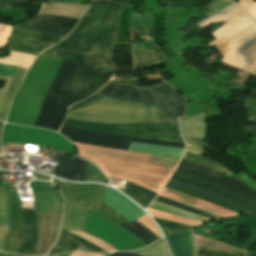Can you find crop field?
<instances>
[{
	"label": "crop field",
	"mask_w": 256,
	"mask_h": 256,
	"mask_svg": "<svg viewBox=\"0 0 256 256\" xmlns=\"http://www.w3.org/2000/svg\"><path fill=\"white\" fill-rule=\"evenodd\" d=\"M204 113H197L193 116L180 118L181 134L204 138L205 125L203 123Z\"/></svg>",
	"instance_id": "19"
},
{
	"label": "crop field",
	"mask_w": 256,
	"mask_h": 256,
	"mask_svg": "<svg viewBox=\"0 0 256 256\" xmlns=\"http://www.w3.org/2000/svg\"><path fill=\"white\" fill-rule=\"evenodd\" d=\"M121 7L128 2L94 0L74 31L42 54L79 60L76 74L60 102L69 106L101 88L119 67L112 63Z\"/></svg>",
	"instance_id": "1"
},
{
	"label": "crop field",
	"mask_w": 256,
	"mask_h": 256,
	"mask_svg": "<svg viewBox=\"0 0 256 256\" xmlns=\"http://www.w3.org/2000/svg\"><path fill=\"white\" fill-rule=\"evenodd\" d=\"M132 253L144 255V256H169L163 239L153 243L152 245L135 251H129Z\"/></svg>",
	"instance_id": "26"
},
{
	"label": "crop field",
	"mask_w": 256,
	"mask_h": 256,
	"mask_svg": "<svg viewBox=\"0 0 256 256\" xmlns=\"http://www.w3.org/2000/svg\"><path fill=\"white\" fill-rule=\"evenodd\" d=\"M59 132L62 133L66 138L74 142L113 147V148H119V149H125V150L128 149L131 141L184 148L183 143H171V142H163L158 140L142 139V138H135V137L119 136V135H106V134H100V133L80 131V130H76V129H72L64 126H62Z\"/></svg>",
	"instance_id": "9"
},
{
	"label": "crop field",
	"mask_w": 256,
	"mask_h": 256,
	"mask_svg": "<svg viewBox=\"0 0 256 256\" xmlns=\"http://www.w3.org/2000/svg\"><path fill=\"white\" fill-rule=\"evenodd\" d=\"M247 255H248V256H256V253L247 251Z\"/></svg>",
	"instance_id": "47"
},
{
	"label": "crop field",
	"mask_w": 256,
	"mask_h": 256,
	"mask_svg": "<svg viewBox=\"0 0 256 256\" xmlns=\"http://www.w3.org/2000/svg\"><path fill=\"white\" fill-rule=\"evenodd\" d=\"M197 256H246L245 250L238 249L235 251H224L216 249H196Z\"/></svg>",
	"instance_id": "29"
},
{
	"label": "crop field",
	"mask_w": 256,
	"mask_h": 256,
	"mask_svg": "<svg viewBox=\"0 0 256 256\" xmlns=\"http://www.w3.org/2000/svg\"><path fill=\"white\" fill-rule=\"evenodd\" d=\"M157 198H160V199L166 200V199L161 198V197H159V196H157ZM166 201H169V200H166ZM169 202L174 203V204H177V205L182 206V207H185V208L190 209V210H194V211H197V212H200V213H204V212H201V211H199V210H196V209L190 208V207H188V206H185V205H182V204H179V203H176V202H172V201H169ZM204 214H207V213H204ZM207 215H209V214H207ZM210 216H212V215H210ZM213 217H215V216H213ZM215 218H217V217H215ZM218 219H220V218H218Z\"/></svg>",
	"instance_id": "43"
},
{
	"label": "crop field",
	"mask_w": 256,
	"mask_h": 256,
	"mask_svg": "<svg viewBox=\"0 0 256 256\" xmlns=\"http://www.w3.org/2000/svg\"><path fill=\"white\" fill-rule=\"evenodd\" d=\"M71 232H73V233H75V234H77V235H79V236H81V237H83V238L89 240L90 242H92V243L98 245L99 247H101V248H103V249H105V250H107V251H116L115 249H113V248H112L109 244H107L106 242H104V241H102V240H100V239H97V238H95V237H92V236L86 234L85 232H81V231H71Z\"/></svg>",
	"instance_id": "32"
},
{
	"label": "crop field",
	"mask_w": 256,
	"mask_h": 256,
	"mask_svg": "<svg viewBox=\"0 0 256 256\" xmlns=\"http://www.w3.org/2000/svg\"><path fill=\"white\" fill-rule=\"evenodd\" d=\"M107 206L115 210L117 213L125 217L127 220H134L146 213L136 207L131 201L119 192L109 188L104 189V200Z\"/></svg>",
	"instance_id": "12"
},
{
	"label": "crop field",
	"mask_w": 256,
	"mask_h": 256,
	"mask_svg": "<svg viewBox=\"0 0 256 256\" xmlns=\"http://www.w3.org/2000/svg\"><path fill=\"white\" fill-rule=\"evenodd\" d=\"M155 221L158 223V225L173 228V229H177V230H181V231L194 228V227H191V226H188V225L169 222V221H164V220H159V219H155Z\"/></svg>",
	"instance_id": "33"
},
{
	"label": "crop field",
	"mask_w": 256,
	"mask_h": 256,
	"mask_svg": "<svg viewBox=\"0 0 256 256\" xmlns=\"http://www.w3.org/2000/svg\"><path fill=\"white\" fill-rule=\"evenodd\" d=\"M1 126H2V124H0V130H1Z\"/></svg>",
	"instance_id": "49"
},
{
	"label": "crop field",
	"mask_w": 256,
	"mask_h": 256,
	"mask_svg": "<svg viewBox=\"0 0 256 256\" xmlns=\"http://www.w3.org/2000/svg\"><path fill=\"white\" fill-rule=\"evenodd\" d=\"M87 162L82 159L69 158L64 160L57 173L66 179L84 181Z\"/></svg>",
	"instance_id": "17"
},
{
	"label": "crop field",
	"mask_w": 256,
	"mask_h": 256,
	"mask_svg": "<svg viewBox=\"0 0 256 256\" xmlns=\"http://www.w3.org/2000/svg\"><path fill=\"white\" fill-rule=\"evenodd\" d=\"M166 187H169V188H172V189L181 191V192H183V193H186V194L195 196V197H197V198H200V199L209 201V202H211V203L217 204V205L222 206V207H224V208H227V209H229V210L235 211V212H237V213H239V214H241V213H243V214H250V213H247V212H245V211H242V210H240V209H238V208H235V207H233V206H230V205H228V204H226V203H223V202H221V201H219V200H216V199H214V198H212V197H210V196H207V195H204V194H200V193L191 191V190H189V189L183 188V187H181V186H178V185H175V184H172V183H169V182H167Z\"/></svg>",
	"instance_id": "22"
},
{
	"label": "crop field",
	"mask_w": 256,
	"mask_h": 256,
	"mask_svg": "<svg viewBox=\"0 0 256 256\" xmlns=\"http://www.w3.org/2000/svg\"><path fill=\"white\" fill-rule=\"evenodd\" d=\"M183 160L202 164L206 167H209L211 169H214V170L220 172L221 174H223L226 177L229 176L230 174H232L228 170H226L222 165L215 163L209 159L203 158L201 156L195 155V154L186 152L183 157Z\"/></svg>",
	"instance_id": "24"
},
{
	"label": "crop field",
	"mask_w": 256,
	"mask_h": 256,
	"mask_svg": "<svg viewBox=\"0 0 256 256\" xmlns=\"http://www.w3.org/2000/svg\"><path fill=\"white\" fill-rule=\"evenodd\" d=\"M86 181H100L105 182L106 177L97 170L93 165L88 163L86 170Z\"/></svg>",
	"instance_id": "31"
},
{
	"label": "crop field",
	"mask_w": 256,
	"mask_h": 256,
	"mask_svg": "<svg viewBox=\"0 0 256 256\" xmlns=\"http://www.w3.org/2000/svg\"><path fill=\"white\" fill-rule=\"evenodd\" d=\"M29 187L53 188L50 182L32 181Z\"/></svg>",
	"instance_id": "39"
},
{
	"label": "crop field",
	"mask_w": 256,
	"mask_h": 256,
	"mask_svg": "<svg viewBox=\"0 0 256 256\" xmlns=\"http://www.w3.org/2000/svg\"><path fill=\"white\" fill-rule=\"evenodd\" d=\"M72 256H101V255H99V254H84V253L75 252Z\"/></svg>",
	"instance_id": "44"
},
{
	"label": "crop field",
	"mask_w": 256,
	"mask_h": 256,
	"mask_svg": "<svg viewBox=\"0 0 256 256\" xmlns=\"http://www.w3.org/2000/svg\"><path fill=\"white\" fill-rule=\"evenodd\" d=\"M99 94L144 102H155L166 119L186 115L187 99L167 82L148 88H136L131 85L109 82Z\"/></svg>",
	"instance_id": "4"
},
{
	"label": "crop field",
	"mask_w": 256,
	"mask_h": 256,
	"mask_svg": "<svg viewBox=\"0 0 256 256\" xmlns=\"http://www.w3.org/2000/svg\"><path fill=\"white\" fill-rule=\"evenodd\" d=\"M120 226L133 232L142 241H144L147 245L150 244L152 241L158 239L157 236H155L152 232H150L148 229H146L144 226H142L141 224H139L136 221L129 222V223H126V224H123Z\"/></svg>",
	"instance_id": "23"
},
{
	"label": "crop field",
	"mask_w": 256,
	"mask_h": 256,
	"mask_svg": "<svg viewBox=\"0 0 256 256\" xmlns=\"http://www.w3.org/2000/svg\"><path fill=\"white\" fill-rule=\"evenodd\" d=\"M11 26L0 24V47L6 45ZM34 55L10 51L8 58L0 59V63L22 66L28 68L32 63Z\"/></svg>",
	"instance_id": "16"
},
{
	"label": "crop field",
	"mask_w": 256,
	"mask_h": 256,
	"mask_svg": "<svg viewBox=\"0 0 256 256\" xmlns=\"http://www.w3.org/2000/svg\"><path fill=\"white\" fill-rule=\"evenodd\" d=\"M120 188L122 192L131 197L135 202H137L144 209L150 203V201L154 198L156 193L149 192L133 183H129L126 181L118 180ZM152 202V201H151Z\"/></svg>",
	"instance_id": "20"
},
{
	"label": "crop field",
	"mask_w": 256,
	"mask_h": 256,
	"mask_svg": "<svg viewBox=\"0 0 256 256\" xmlns=\"http://www.w3.org/2000/svg\"><path fill=\"white\" fill-rule=\"evenodd\" d=\"M109 256H140V255H136L128 252H114V253H111Z\"/></svg>",
	"instance_id": "42"
},
{
	"label": "crop field",
	"mask_w": 256,
	"mask_h": 256,
	"mask_svg": "<svg viewBox=\"0 0 256 256\" xmlns=\"http://www.w3.org/2000/svg\"><path fill=\"white\" fill-rule=\"evenodd\" d=\"M171 179L183 181V182L201 187L203 189L209 190L211 192H214L218 195L226 197L230 200H233L237 203H240V204L256 211V204H254V203L236 195L235 193H233V192H231V191H229V190H227V189H225L221 186L213 184V183H211L209 181H206L204 179H201L199 177H196V176H193V175L175 170V172L171 176Z\"/></svg>",
	"instance_id": "11"
},
{
	"label": "crop field",
	"mask_w": 256,
	"mask_h": 256,
	"mask_svg": "<svg viewBox=\"0 0 256 256\" xmlns=\"http://www.w3.org/2000/svg\"><path fill=\"white\" fill-rule=\"evenodd\" d=\"M45 49L46 47L29 45V44L20 43L12 40H10L9 42V50L19 51V52H24V53L34 54V55L39 54Z\"/></svg>",
	"instance_id": "28"
},
{
	"label": "crop field",
	"mask_w": 256,
	"mask_h": 256,
	"mask_svg": "<svg viewBox=\"0 0 256 256\" xmlns=\"http://www.w3.org/2000/svg\"><path fill=\"white\" fill-rule=\"evenodd\" d=\"M177 169L195 174V175L202 177L206 180L217 183V184L235 192L236 194L256 203V192L232 177L226 178V177L222 176L221 174H219L209 168H206V167L198 165V164L189 163V162H186L183 160H181Z\"/></svg>",
	"instance_id": "10"
},
{
	"label": "crop field",
	"mask_w": 256,
	"mask_h": 256,
	"mask_svg": "<svg viewBox=\"0 0 256 256\" xmlns=\"http://www.w3.org/2000/svg\"><path fill=\"white\" fill-rule=\"evenodd\" d=\"M64 125L106 134H119L171 142H183L178 130V124H93L66 119Z\"/></svg>",
	"instance_id": "7"
},
{
	"label": "crop field",
	"mask_w": 256,
	"mask_h": 256,
	"mask_svg": "<svg viewBox=\"0 0 256 256\" xmlns=\"http://www.w3.org/2000/svg\"><path fill=\"white\" fill-rule=\"evenodd\" d=\"M184 139V142L186 144L187 147V151L193 152V153H197V154H203L204 151L203 149H201L200 147H198L196 144H194L192 141H190L188 138H186L185 136H182Z\"/></svg>",
	"instance_id": "35"
},
{
	"label": "crop field",
	"mask_w": 256,
	"mask_h": 256,
	"mask_svg": "<svg viewBox=\"0 0 256 256\" xmlns=\"http://www.w3.org/2000/svg\"><path fill=\"white\" fill-rule=\"evenodd\" d=\"M90 0H48V2L75 3L88 5Z\"/></svg>",
	"instance_id": "38"
},
{
	"label": "crop field",
	"mask_w": 256,
	"mask_h": 256,
	"mask_svg": "<svg viewBox=\"0 0 256 256\" xmlns=\"http://www.w3.org/2000/svg\"><path fill=\"white\" fill-rule=\"evenodd\" d=\"M100 96H101V95L95 94V95H93V96H91V97H89V98H87V99H85V100H83V101H81V102H79V103H77V104L71 106L70 108H73V107L82 105V104L87 103V102H89V101H91V100H93V99H96V98L100 97Z\"/></svg>",
	"instance_id": "41"
},
{
	"label": "crop field",
	"mask_w": 256,
	"mask_h": 256,
	"mask_svg": "<svg viewBox=\"0 0 256 256\" xmlns=\"http://www.w3.org/2000/svg\"><path fill=\"white\" fill-rule=\"evenodd\" d=\"M169 182H172V183L181 185V186H183V187L189 188V189H191V190H194V191H197V192H200V193H204V194L210 195V196H212V197H215V198H217V199H219V200H222V201H224V202H227V203H229V204H231V205H233V206H236V207H238V208H240V209H242V210L248 211V212L253 213V214L256 215L255 212H253V211H251V210H249V209H247V208H245V207H243V206H241V205H239V204H237V203H235V202H233V201H230V200L225 199V198H223V197H221V196H218V195H216V194H214V193H211V192H209V191L203 190V189H201V188H198V187H195V186H192V185L183 183V182L171 180V179H169Z\"/></svg>",
	"instance_id": "27"
},
{
	"label": "crop field",
	"mask_w": 256,
	"mask_h": 256,
	"mask_svg": "<svg viewBox=\"0 0 256 256\" xmlns=\"http://www.w3.org/2000/svg\"><path fill=\"white\" fill-rule=\"evenodd\" d=\"M231 0H212L207 6H205L200 11H203L207 14V16L225 8L226 6L232 4ZM198 11V12H200Z\"/></svg>",
	"instance_id": "30"
},
{
	"label": "crop field",
	"mask_w": 256,
	"mask_h": 256,
	"mask_svg": "<svg viewBox=\"0 0 256 256\" xmlns=\"http://www.w3.org/2000/svg\"><path fill=\"white\" fill-rule=\"evenodd\" d=\"M0 256H21V255H14V254L0 253ZM56 256H57V255H56Z\"/></svg>",
	"instance_id": "45"
},
{
	"label": "crop field",
	"mask_w": 256,
	"mask_h": 256,
	"mask_svg": "<svg viewBox=\"0 0 256 256\" xmlns=\"http://www.w3.org/2000/svg\"><path fill=\"white\" fill-rule=\"evenodd\" d=\"M76 62L63 60L55 80L44 100L42 111L36 120L34 127H43L58 131L62 125L67 108L57 102L60 94L64 90L73 67Z\"/></svg>",
	"instance_id": "8"
},
{
	"label": "crop field",
	"mask_w": 256,
	"mask_h": 256,
	"mask_svg": "<svg viewBox=\"0 0 256 256\" xmlns=\"http://www.w3.org/2000/svg\"><path fill=\"white\" fill-rule=\"evenodd\" d=\"M86 217L87 207L66 196L62 228L84 231V222Z\"/></svg>",
	"instance_id": "13"
},
{
	"label": "crop field",
	"mask_w": 256,
	"mask_h": 256,
	"mask_svg": "<svg viewBox=\"0 0 256 256\" xmlns=\"http://www.w3.org/2000/svg\"><path fill=\"white\" fill-rule=\"evenodd\" d=\"M192 253L196 256L193 229L190 230ZM173 256H192L189 230L166 237Z\"/></svg>",
	"instance_id": "15"
},
{
	"label": "crop field",
	"mask_w": 256,
	"mask_h": 256,
	"mask_svg": "<svg viewBox=\"0 0 256 256\" xmlns=\"http://www.w3.org/2000/svg\"><path fill=\"white\" fill-rule=\"evenodd\" d=\"M67 118L93 123H178L177 119L166 121L155 103H139L110 97L70 112Z\"/></svg>",
	"instance_id": "3"
},
{
	"label": "crop field",
	"mask_w": 256,
	"mask_h": 256,
	"mask_svg": "<svg viewBox=\"0 0 256 256\" xmlns=\"http://www.w3.org/2000/svg\"><path fill=\"white\" fill-rule=\"evenodd\" d=\"M256 118V110L253 112V114L250 116L249 120H254Z\"/></svg>",
	"instance_id": "46"
},
{
	"label": "crop field",
	"mask_w": 256,
	"mask_h": 256,
	"mask_svg": "<svg viewBox=\"0 0 256 256\" xmlns=\"http://www.w3.org/2000/svg\"><path fill=\"white\" fill-rule=\"evenodd\" d=\"M128 150L149 153V154H154L158 156L176 158V159H180L182 153L184 152V149L182 148L163 147V146L135 143V142L131 143Z\"/></svg>",
	"instance_id": "18"
},
{
	"label": "crop field",
	"mask_w": 256,
	"mask_h": 256,
	"mask_svg": "<svg viewBox=\"0 0 256 256\" xmlns=\"http://www.w3.org/2000/svg\"><path fill=\"white\" fill-rule=\"evenodd\" d=\"M225 21L211 33L216 39L208 45H216L222 64L256 75V21L240 7L234 3L196 25L202 29Z\"/></svg>",
	"instance_id": "2"
},
{
	"label": "crop field",
	"mask_w": 256,
	"mask_h": 256,
	"mask_svg": "<svg viewBox=\"0 0 256 256\" xmlns=\"http://www.w3.org/2000/svg\"><path fill=\"white\" fill-rule=\"evenodd\" d=\"M155 201H158V202H161V203H164V204H168V205H171V206L180 208V209H184V208H182V207L176 206V205H174V204L168 203V202H166V201H163V200H160V199H157V198H155ZM184 210H187V209H184ZM187 211H190V210H187ZM190 212H193V211H190ZM193 213L200 214V213H197V212H193ZM200 215H203V214H200ZM203 216L210 217V216H207V215H203ZM210 218H213V217H210ZM213 219H215V218H213ZM216 220H218V219H216Z\"/></svg>",
	"instance_id": "40"
},
{
	"label": "crop field",
	"mask_w": 256,
	"mask_h": 256,
	"mask_svg": "<svg viewBox=\"0 0 256 256\" xmlns=\"http://www.w3.org/2000/svg\"><path fill=\"white\" fill-rule=\"evenodd\" d=\"M249 104H250V106H249ZM244 107H245V110L248 107L247 112L253 107V109L250 111V113L249 114L247 113L248 116L254 111V109L256 108V91L248 99H246L244 101Z\"/></svg>",
	"instance_id": "36"
},
{
	"label": "crop field",
	"mask_w": 256,
	"mask_h": 256,
	"mask_svg": "<svg viewBox=\"0 0 256 256\" xmlns=\"http://www.w3.org/2000/svg\"><path fill=\"white\" fill-rule=\"evenodd\" d=\"M238 4L256 19V3L252 0H240Z\"/></svg>",
	"instance_id": "34"
},
{
	"label": "crop field",
	"mask_w": 256,
	"mask_h": 256,
	"mask_svg": "<svg viewBox=\"0 0 256 256\" xmlns=\"http://www.w3.org/2000/svg\"><path fill=\"white\" fill-rule=\"evenodd\" d=\"M73 252H70V253H64L62 254L61 256H71Z\"/></svg>",
	"instance_id": "48"
},
{
	"label": "crop field",
	"mask_w": 256,
	"mask_h": 256,
	"mask_svg": "<svg viewBox=\"0 0 256 256\" xmlns=\"http://www.w3.org/2000/svg\"><path fill=\"white\" fill-rule=\"evenodd\" d=\"M9 226V188H0V251Z\"/></svg>",
	"instance_id": "21"
},
{
	"label": "crop field",
	"mask_w": 256,
	"mask_h": 256,
	"mask_svg": "<svg viewBox=\"0 0 256 256\" xmlns=\"http://www.w3.org/2000/svg\"><path fill=\"white\" fill-rule=\"evenodd\" d=\"M36 213L61 214V200L53 189H31ZM38 242L36 255L45 254L53 245L61 221V215L36 214Z\"/></svg>",
	"instance_id": "6"
},
{
	"label": "crop field",
	"mask_w": 256,
	"mask_h": 256,
	"mask_svg": "<svg viewBox=\"0 0 256 256\" xmlns=\"http://www.w3.org/2000/svg\"><path fill=\"white\" fill-rule=\"evenodd\" d=\"M16 67L0 64V76L12 77Z\"/></svg>",
	"instance_id": "37"
},
{
	"label": "crop field",
	"mask_w": 256,
	"mask_h": 256,
	"mask_svg": "<svg viewBox=\"0 0 256 256\" xmlns=\"http://www.w3.org/2000/svg\"><path fill=\"white\" fill-rule=\"evenodd\" d=\"M79 19L37 13L29 24H17L14 27L65 37ZM76 26V25H75ZM12 28L9 38L43 46L51 47L62 37ZM54 39L53 42H50Z\"/></svg>",
	"instance_id": "5"
},
{
	"label": "crop field",
	"mask_w": 256,
	"mask_h": 256,
	"mask_svg": "<svg viewBox=\"0 0 256 256\" xmlns=\"http://www.w3.org/2000/svg\"><path fill=\"white\" fill-rule=\"evenodd\" d=\"M150 208L165 211V212H169V213H173V214H176V215H180V216H184V217H188V218H192V219H196V220H199V221H202V222L210 220L206 217L196 215V214L184 211V210H180V209L168 206V205H164V204H161V203H158V202H155V201H153V203L150 205Z\"/></svg>",
	"instance_id": "25"
},
{
	"label": "crop field",
	"mask_w": 256,
	"mask_h": 256,
	"mask_svg": "<svg viewBox=\"0 0 256 256\" xmlns=\"http://www.w3.org/2000/svg\"><path fill=\"white\" fill-rule=\"evenodd\" d=\"M72 241L83 245L95 252H104L105 250L99 248L98 246L90 243L89 241L72 234L68 231H60L59 238L56 242V244L50 249V251L47 253L48 255H53L61 252H67V251H75L76 248L79 246Z\"/></svg>",
	"instance_id": "14"
}]
</instances>
